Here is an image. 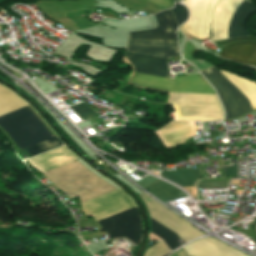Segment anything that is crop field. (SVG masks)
<instances>
[{"label":"crop field","instance_id":"obj_22","mask_svg":"<svg viewBox=\"0 0 256 256\" xmlns=\"http://www.w3.org/2000/svg\"><path fill=\"white\" fill-rule=\"evenodd\" d=\"M240 40H254L256 41V38H253L251 36H244V37H236V38H226V39H221V40H217V41H214L218 44H221V45H224L228 42H232V41H240Z\"/></svg>","mask_w":256,"mask_h":256},{"label":"crop field","instance_id":"obj_24","mask_svg":"<svg viewBox=\"0 0 256 256\" xmlns=\"http://www.w3.org/2000/svg\"><path fill=\"white\" fill-rule=\"evenodd\" d=\"M148 1L156 4L157 6L163 9L171 7L172 3L174 2V0H148Z\"/></svg>","mask_w":256,"mask_h":256},{"label":"crop field","instance_id":"obj_29","mask_svg":"<svg viewBox=\"0 0 256 256\" xmlns=\"http://www.w3.org/2000/svg\"><path fill=\"white\" fill-rule=\"evenodd\" d=\"M254 241L256 243V217H255V238H254Z\"/></svg>","mask_w":256,"mask_h":256},{"label":"crop field","instance_id":"obj_28","mask_svg":"<svg viewBox=\"0 0 256 256\" xmlns=\"http://www.w3.org/2000/svg\"><path fill=\"white\" fill-rule=\"evenodd\" d=\"M170 256H187V255L184 253V251H181V252L174 253Z\"/></svg>","mask_w":256,"mask_h":256},{"label":"crop field","instance_id":"obj_23","mask_svg":"<svg viewBox=\"0 0 256 256\" xmlns=\"http://www.w3.org/2000/svg\"><path fill=\"white\" fill-rule=\"evenodd\" d=\"M194 51H196L194 46L187 41L186 44H185V50H184L183 58L185 60L193 59L192 52H194Z\"/></svg>","mask_w":256,"mask_h":256},{"label":"crop field","instance_id":"obj_5","mask_svg":"<svg viewBox=\"0 0 256 256\" xmlns=\"http://www.w3.org/2000/svg\"><path fill=\"white\" fill-rule=\"evenodd\" d=\"M0 128L20 149L52 137L27 107L0 117Z\"/></svg>","mask_w":256,"mask_h":256},{"label":"crop field","instance_id":"obj_13","mask_svg":"<svg viewBox=\"0 0 256 256\" xmlns=\"http://www.w3.org/2000/svg\"><path fill=\"white\" fill-rule=\"evenodd\" d=\"M158 133L165 140L167 146L182 144L189 137L196 135L193 121L178 120L167 124Z\"/></svg>","mask_w":256,"mask_h":256},{"label":"crop field","instance_id":"obj_27","mask_svg":"<svg viewBox=\"0 0 256 256\" xmlns=\"http://www.w3.org/2000/svg\"><path fill=\"white\" fill-rule=\"evenodd\" d=\"M189 63H194L200 70H202V69H205V68H207V67H210L209 66V64H206V63H204V62H202V61H200V60H197V61H194V60H192L191 62L190 61H188ZM191 63V64H192ZM194 65V66H195ZM195 66V67H196ZM208 69V68H207Z\"/></svg>","mask_w":256,"mask_h":256},{"label":"crop field","instance_id":"obj_21","mask_svg":"<svg viewBox=\"0 0 256 256\" xmlns=\"http://www.w3.org/2000/svg\"><path fill=\"white\" fill-rule=\"evenodd\" d=\"M229 181L197 182V188L228 187Z\"/></svg>","mask_w":256,"mask_h":256},{"label":"crop field","instance_id":"obj_10","mask_svg":"<svg viewBox=\"0 0 256 256\" xmlns=\"http://www.w3.org/2000/svg\"><path fill=\"white\" fill-rule=\"evenodd\" d=\"M184 248L190 256H241L243 254L213 238L198 240Z\"/></svg>","mask_w":256,"mask_h":256},{"label":"crop field","instance_id":"obj_19","mask_svg":"<svg viewBox=\"0 0 256 256\" xmlns=\"http://www.w3.org/2000/svg\"><path fill=\"white\" fill-rule=\"evenodd\" d=\"M171 251L167 246L161 241L154 246L150 247L144 256H166Z\"/></svg>","mask_w":256,"mask_h":256},{"label":"crop field","instance_id":"obj_9","mask_svg":"<svg viewBox=\"0 0 256 256\" xmlns=\"http://www.w3.org/2000/svg\"><path fill=\"white\" fill-rule=\"evenodd\" d=\"M183 1L190 11V18L180 29L201 40L208 37L210 16L213 6L218 0Z\"/></svg>","mask_w":256,"mask_h":256},{"label":"crop field","instance_id":"obj_12","mask_svg":"<svg viewBox=\"0 0 256 256\" xmlns=\"http://www.w3.org/2000/svg\"><path fill=\"white\" fill-rule=\"evenodd\" d=\"M219 56L256 68V42L227 44Z\"/></svg>","mask_w":256,"mask_h":256},{"label":"crop field","instance_id":"obj_1","mask_svg":"<svg viewBox=\"0 0 256 256\" xmlns=\"http://www.w3.org/2000/svg\"><path fill=\"white\" fill-rule=\"evenodd\" d=\"M155 29L129 32L128 38L177 40L178 26L172 9L155 14ZM126 52L168 59L178 56L177 41H151L128 39ZM126 53L135 71L167 77V61L153 57ZM135 72L130 82L147 87L162 88L170 92L172 79ZM171 92L215 94L213 88L200 75L178 76L173 79ZM171 93L170 104L179 108L177 119L220 120L223 110L216 95Z\"/></svg>","mask_w":256,"mask_h":256},{"label":"crop field","instance_id":"obj_8","mask_svg":"<svg viewBox=\"0 0 256 256\" xmlns=\"http://www.w3.org/2000/svg\"><path fill=\"white\" fill-rule=\"evenodd\" d=\"M139 196L144 201L150 217L168 229L176 232L184 241L187 242L203 235V233L197 231L193 226L186 223L163 206L157 204L153 199L149 198L145 194H139Z\"/></svg>","mask_w":256,"mask_h":256},{"label":"crop field","instance_id":"obj_2","mask_svg":"<svg viewBox=\"0 0 256 256\" xmlns=\"http://www.w3.org/2000/svg\"><path fill=\"white\" fill-rule=\"evenodd\" d=\"M44 175L69 198L79 196L81 202L116 190L77 161Z\"/></svg>","mask_w":256,"mask_h":256},{"label":"crop field","instance_id":"obj_6","mask_svg":"<svg viewBox=\"0 0 256 256\" xmlns=\"http://www.w3.org/2000/svg\"><path fill=\"white\" fill-rule=\"evenodd\" d=\"M99 224L108 234V239L127 237L135 245L139 242L141 218L136 207L103 219Z\"/></svg>","mask_w":256,"mask_h":256},{"label":"crop field","instance_id":"obj_17","mask_svg":"<svg viewBox=\"0 0 256 256\" xmlns=\"http://www.w3.org/2000/svg\"><path fill=\"white\" fill-rule=\"evenodd\" d=\"M152 222V233L157 235L159 238L163 239L169 248L172 250L180 246L177 234L171 232L161 224L155 222L151 219Z\"/></svg>","mask_w":256,"mask_h":256},{"label":"crop field","instance_id":"obj_15","mask_svg":"<svg viewBox=\"0 0 256 256\" xmlns=\"http://www.w3.org/2000/svg\"><path fill=\"white\" fill-rule=\"evenodd\" d=\"M28 105L17 95L0 86V116Z\"/></svg>","mask_w":256,"mask_h":256},{"label":"crop field","instance_id":"obj_20","mask_svg":"<svg viewBox=\"0 0 256 256\" xmlns=\"http://www.w3.org/2000/svg\"><path fill=\"white\" fill-rule=\"evenodd\" d=\"M176 4V3H175ZM175 12V15L177 17V20L179 22V24L183 23L184 21H186L187 17H188V11L185 7L176 4L175 8H172Z\"/></svg>","mask_w":256,"mask_h":256},{"label":"crop field","instance_id":"obj_11","mask_svg":"<svg viewBox=\"0 0 256 256\" xmlns=\"http://www.w3.org/2000/svg\"><path fill=\"white\" fill-rule=\"evenodd\" d=\"M75 160H78V158L72 154L66 146H62L50 152L29 159L27 162H29L32 166L43 173Z\"/></svg>","mask_w":256,"mask_h":256},{"label":"crop field","instance_id":"obj_7","mask_svg":"<svg viewBox=\"0 0 256 256\" xmlns=\"http://www.w3.org/2000/svg\"><path fill=\"white\" fill-rule=\"evenodd\" d=\"M131 207L135 204L121 189L82 204L84 213L97 221Z\"/></svg>","mask_w":256,"mask_h":256},{"label":"crop field","instance_id":"obj_26","mask_svg":"<svg viewBox=\"0 0 256 256\" xmlns=\"http://www.w3.org/2000/svg\"><path fill=\"white\" fill-rule=\"evenodd\" d=\"M157 178L152 177V176H147L146 178L142 179L141 181H139L138 183H140L141 185H143L144 187L147 186L148 184L152 183L153 181H155ZM142 186V187H143Z\"/></svg>","mask_w":256,"mask_h":256},{"label":"crop field","instance_id":"obj_4","mask_svg":"<svg viewBox=\"0 0 256 256\" xmlns=\"http://www.w3.org/2000/svg\"><path fill=\"white\" fill-rule=\"evenodd\" d=\"M245 1L219 0L212 17V40L227 37L230 19L241 2L231 20L228 37L247 34L244 23L256 12V7Z\"/></svg>","mask_w":256,"mask_h":256},{"label":"crop field","instance_id":"obj_18","mask_svg":"<svg viewBox=\"0 0 256 256\" xmlns=\"http://www.w3.org/2000/svg\"><path fill=\"white\" fill-rule=\"evenodd\" d=\"M61 144H62L61 141L57 138V136H55L53 138L47 139V140L37 143L35 145L29 146V147H27V150L29 151L31 156H35V155L45 152L49 149L57 147Z\"/></svg>","mask_w":256,"mask_h":256},{"label":"crop field","instance_id":"obj_14","mask_svg":"<svg viewBox=\"0 0 256 256\" xmlns=\"http://www.w3.org/2000/svg\"><path fill=\"white\" fill-rule=\"evenodd\" d=\"M145 189L164 202L188 196L180 191L178 188L167 184L159 179Z\"/></svg>","mask_w":256,"mask_h":256},{"label":"crop field","instance_id":"obj_16","mask_svg":"<svg viewBox=\"0 0 256 256\" xmlns=\"http://www.w3.org/2000/svg\"><path fill=\"white\" fill-rule=\"evenodd\" d=\"M163 176L182 187L192 186L193 182L201 176L200 169L182 170V171H166L160 172Z\"/></svg>","mask_w":256,"mask_h":256},{"label":"crop field","instance_id":"obj_25","mask_svg":"<svg viewBox=\"0 0 256 256\" xmlns=\"http://www.w3.org/2000/svg\"><path fill=\"white\" fill-rule=\"evenodd\" d=\"M223 174L237 175L238 172V164L234 166L222 167Z\"/></svg>","mask_w":256,"mask_h":256},{"label":"crop field","instance_id":"obj_3","mask_svg":"<svg viewBox=\"0 0 256 256\" xmlns=\"http://www.w3.org/2000/svg\"><path fill=\"white\" fill-rule=\"evenodd\" d=\"M228 78L248 99L252 109H256V85L230 73L220 71ZM215 68L201 73L210 81L217 90L223 107L226 111V118H234L252 111L247 98Z\"/></svg>","mask_w":256,"mask_h":256},{"label":"crop field","instance_id":"obj_30","mask_svg":"<svg viewBox=\"0 0 256 256\" xmlns=\"http://www.w3.org/2000/svg\"><path fill=\"white\" fill-rule=\"evenodd\" d=\"M181 1V0H180Z\"/></svg>","mask_w":256,"mask_h":256}]
</instances>
